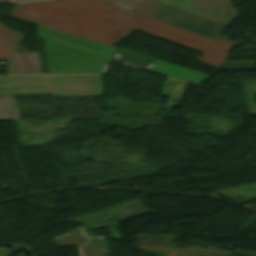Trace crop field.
<instances>
[{"instance_id": "7", "label": "crop field", "mask_w": 256, "mask_h": 256, "mask_svg": "<svg viewBox=\"0 0 256 256\" xmlns=\"http://www.w3.org/2000/svg\"><path fill=\"white\" fill-rule=\"evenodd\" d=\"M20 36L0 26V59H9Z\"/></svg>"}, {"instance_id": "2", "label": "crop field", "mask_w": 256, "mask_h": 256, "mask_svg": "<svg viewBox=\"0 0 256 256\" xmlns=\"http://www.w3.org/2000/svg\"><path fill=\"white\" fill-rule=\"evenodd\" d=\"M51 80L54 97H101L99 75H59ZM48 94V76L0 77V96Z\"/></svg>"}, {"instance_id": "9", "label": "crop field", "mask_w": 256, "mask_h": 256, "mask_svg": "<svg viewBox=\"0 0 256 256\" xmlns=\"http://www.w3.org/2000/svg\"><path fill=\"white\" fill-rule=\"evenodd\" d=\"M11 0H0V2H10Z\"/></svg>"}, {"instance_id": "5", "label": "crop field", "mask_w": 256, "mask_h": 256, "mask_svg": "<svg viewBox=\"0 0 256 256\" xmlns=\"http://www.w3.org/2000/svg\"><path fill=\"white\" fill-rule=\"evenodd\" d=\"M38 33L40 39H46L59 44L70 46L76 49L87 51L90 53L98 54L111 58L115 48L99 44L96 42L88 41L78 37L70 36L53 30H49L38 26Z\"/></svg>"}, {"instance_id": "4", "label": "crop field", "mask_w": 256, "mask_h": 256, "mask_svg": "<svg viewBox=\"0 0 256 256\" xmlns=\"http://www.w3.org/2000/svg\"><path fill=\"white\" fill-rule=\"evenodd\" d=\"M175 8L228 24L235 16L227 0H157Z\"/></svg>"}, {"instance_id": "10", "label": "crop field", "mask_w": 256, "mask_h": 256, "mask_svg": "<svg viewBox=\"0 0 256 256\" xmlns=\"http://www.w3.org/2000/svg\"><path fill=\"white\" fill-rule=\"evenodd\" d=\"M16 2H19V1H27V0H15Z\"/></svg>"}, {"instance_id": "1", "label": "crop field", "mask_w": 256, "mask_h": 256, "mask_svg": "<svg viewBox=\"0 0 256 256\" xmlns=\"http://www.w3.org/2000/svg\"><path fill=\"white\" fill-rule=\"evenodd\" d=\"M9 16L110 45L138 30L202 52L204 54L198 61L215 67L236 45L220 37L213 40L99 0L22 3L17 4Z\"/></svg>"}, {"instance_id": "6", "label": "crop field", "mask_w": 256, "mask_h": 256, "mask_svg": "<svg viewBox=\"0 0 256 256\" xmlns=\"http://www.w3.org/2000/svg\"><path fill=\"white\" fill-rule=\"evenodd\" d=\"M40 58L38 53H15L12 58L10 74H39Z\"/></svg>"}, {"instance_id": "3", "label": "crop field", "mask_w": 256, "mask_h": 256, "mask_svg": "<svg viewBox=\"0 0 256 256\" xmlns=\"http://www.w3.org/2000/svg\"><path fill=\"white\" fill-rule=\"evenodd\" d=\"M139 13L217 39L226 24L187 13L154 0H126Z\"/></svg>"}, {"instance_id": "8", "label": "crop field", "mask_w": 256, "mask_h": 256, "mask_svg": "<svg viewBox=\"0 0 256 256\" xmlns=\"http://www.w3.org/2000/svg\"><path fill=\"white\" fill-rule=\"evenodd\" d=\"M102 1H105V2H108V3L115 4V5H118V6H121V7L132 10V8L130 6L124 4L122 1H119V0H102Z\"/></svg>"}]
</instances>
